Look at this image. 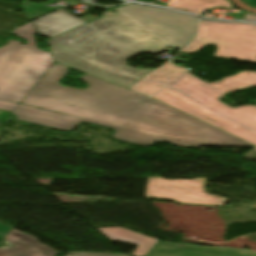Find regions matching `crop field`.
<instances>
[{"mask_svg": "<svg viewBox=\"0 0 256 256\" xmlns=\"http://www.w3.org/2000/svg\"><path fill=\"white\" fill-rule=\"evenodd\" d=\"M166 6L194 14L218 6L231 7L227 0H169Z\"/></svg>", "mask_w": 256, "mask_h": 256, "instance_id": "14", "label": "crop field"}, {"mask_svg": "<svg viewBox=\"0 0 256 256\" xmlns=\"http://www.w3.org/2000/svg\"><path fill=\"white\" fill-rule=\"evenodd\" d=\"M246 2L252 6V7H256V0H246Z\"/></svg>", "mask_w": 256, "mask_h": 256, "instance_id": "21", "label": "crop field"}, {"mask_svg": "<svg viewBox=\"0 0 256 256\" xmlns=\"http://www.w3.org/2000/svg\"><path fill=\"white\" fill-rule=\"evenodd\" d=\"M152 98L175 107L256 146V132L224 118L170 86L163 88L153 95Z\"/></svg>", "mask_w": 256, "mask_h": 256, "instance_id": "8", "label": "crop field"}, {"mask_svg": "<svg viewBox=\"0 0 256 256\" xmlns=\"http://www.w3.org/2000/svg\"><path fill=\"white\" fill-rule=\"evenodd\" d=\"M47 43L58 63L128 89L156 69L131 68L126 59L141 52L165 51L161 40L118 11Z\"/></svg>", "mask_w": 256, "mask_h": 256, "instance_id": "2", "label": "crop field"}, {"mask_svg": "<svg viewBox=\"0 0 256 256\" xmlns=\"http://www.w3.org/2000/svg\"><path fill=\"white\" fill-rule=\"evenodd\" d=\"M67 67L54 64L21 102L77 117L83 120L21 105L12 112L17 120L70 131L81 121L115 129L114 138L139 145L166 141L179 146L247 145L213 127L138 94L83 75L88 89L78 91L58 81Z\"/></svg>", "mask_w": 256, "mask_h": 256, "instance_id": "1", "label": "crop field"}, {"mask_svg": "<svg viewBox=\"0 0 256 256\" xmlns=\"http://www.w3.org/2000/svg\"><path fill=\"white\" fill-rule=\"evenodd\" d=\"M17 105V103L0 101V110L12 112Z\"/></svg>", "mask_w": 256, "mask_h": 256, "instance_id": "17", "label": "crop field"}, {"mask_svg": "<svg viewBox=\"0 0 256 256\" xmlns=\"http://www.w3.org/2000/svg\"><path fill=\"white\" fill-rule=\"evenodd\" d=\"M222 93L242 90L247 87L256 86V72L243 71L232 77L223 78L221 81L210 83Z\"/></svg>", "mask_w": 256, "mask_h": 256, "instance_id": "13", "label": "crop field"}, {"mask_svg": "<svg viewBox=\"0 0 256 256\" xmlns=\"http://www.w3.org/2000/svg\"><path fill=\"white\" fill-rule=\"evenodd\" d=\"M85 23L86 22L80 20L79 18L71 15L70 13L62 9L55 13L32 21V24L38 31L39 35L48 38L76 28Z\"/></svg>", "mask_w": 256, "mask_h": 256, "instance_id": "10", "label": "crop field"}, {"mask_svg": "<svg viewBox=\"0 0 256 256\" xmlns=\"http://www.w3.org/2000/svg\"><path fill=\"white\" fill-rule=\"evenodd\" d=\"M146 256H256L255 251L158 242Z\"/></svg>", "mask_w": 256, "mask_h": 256, "instance_id": "9", "label": "crop field"}, {"mask_svg": "<svg viewBox=\"0 0 256 256\" xmlns=\"http://www.w3.org/2000/svg\"><path fill=\"white\" fill-rule=\"evenodd\" d=\"M206 178L193 180H165L148 177L145 197L174 200L179 203L223 206L227 198L207 194Z\"/></svg>", "mask_w": 256, "mask_h": 256, "instance_id": "7", "label": "crop field"}, {"mask_svg": "<svg viewBox=\"0 0 256 256\" xmlns=\"http://www.w3.org/2000/svg\"><path fill=\"white\" fill-rule=\"evenodd\" d=\"M30 23L12 33L27 45L9 40L0 48V99L21 102L54 63L49 53L37 49ZM10 95L11 97H9Z\"/></svg>", "mask_w": 256, "mask_h": 256, "instance_id": "3", "label": "crop field"}, {"mask_svg": "<svg viewBox=\"0 0 256 256\" xmlns=\"http://www.w3.org/2000/svg\"><path fill=\"white\" fill-rule=\"evenodd\" d=\"M119 11V10H118ZM122 13V12H121ZM125 15V14H124ZM127 16V15H126ZM128 17V16H127ZM131 19V18H130ZM149 31V30H148ZM152 33V32H151ZM156 36V35H155ZM159 38V37H158ZM160 39V38H159ZM165 44V48L166 47H168L167 45H166V43H164Z\"/></svg>", "mask_w": 256, "mask_h": 256, "instance_id": "22", "label": "crop field"}, {"mask_svg": "<svg viewBox=\"0 0 256 256\" xmlns=\"http://www.w3.org/2000/svg\"><path fill=\"white\" fill-rule=\"evenodd\" d=\"M72 256H121V255L72 254Z\"/></svg>", "mask_w": 256, "mask_h": 256, "instance_id": "19", "label": "crop field"}, {"mask_svg": "<svg viewBox=\"0 0 256 256\" xmlns=\"http://www.w3.org/2000/svg\"><path fill=\"white\" fill-rule=\"evenodd\" d=\"M187 96L199 101L217 113L256 131V107L247 105L243 107L231 108L218 101L224 94L197 78L191 73H187L181 78L169 84Z\"/></svg>", "mask_w": 256, "mask_h": 256, "instance_id": "6", "label": "crop field"}, {"mask_svg": "<svg viewBox=\"0 0 256 256\" xmlns=\"http://www.w3.org/2000/svg\"><path fill=\"white\" fill-rule=\"evenodd\" d=\"M4 239L17 246L0 250V256H54L58 254L52 249L38 243L34 237L20 233L14 229ZM44 250L50 252L44 254L42 253Z\"/></svg>", "mask_w": 256, "mask_h": 256, "instance_id": "11", "label": "crop field"}, {"mask_svg": "<svg viewBox=\"0 0 256 256\" xmlns=\"http://www.w3.org/2000/svg\"><path fill=\"white\" fill-rule=\"evenodd\" d=\"M165 86H166L165 84L144 80L132 89L152 96L153 94H155L157 91H159Z\"/></svg>", "mask_w": 256, "mask_h": 256, "instance_id": "16", "label": "crop field"}, {"mask_svg": "<svg viewBox=\"0 0 256 256\" xmlns=\"http://www.w3.org/2000/svg\"><path fill=\"white\" fill-rule=\"evenodd\" d=\"M117 9L155 33L170 47L182 49L195 38L198 21L190 17L133 5Z\"/></svg>", "mask_w": 256, "mask_h": 256, "instance_id": "5", "label": "crop field"}, {"mask_svg": "<svg viewBox=\"0 0 256 256\" xmlns=\"http://www.w3.org/2000/svg\"><path fill=\"white\" fill-rule=\"evenodd\" d=\"M205 45L218 47L213 56L256 63V25L200 21L198 37L183 52L193 53Z\"/></svg>", "mask_w": 256, "mask_h": 256, "instance_id": "4", "label": "crop field"}, {"mask_svg": "<svg viewBox=\"0 0 256 256\" xmlns=\"http://www.w3.org/2000/svg\"><path fill=\"white\" fill-rule=\"evenodd\" d=\"M97 230L109 240H118L139 245L134 256H145L158 242L150 237L127 231L122 228L110 227Z\"/></svg>", "mask_w": 256, "mask_h": 256, "instance_id": "12", "label": "crop field"}, {"mask_svg": "<svg viewBox=\"0 0 256 256\" xmlns=\"http://www.w3.org/2000/svg\"><path fill=\"white\" fill-rule=\"evenodd\" d=\"M10 230L11 228L0 223V239L4 238Z\"/></svg>", "mask_w": 256, "mask_h": 256, "instance_id": "18", "label": "crop field"}, {"mask_svg": "<svg viewBox=\"0 0 256 256\" xmlns=\"http://www.w3.org/2000/svg\"><path fill=\"white\" fill-rule=\"evenodd\" d=\"M185 73H187V70L174 66L171 62H168L158 71L149 76L147 80L169 84Z\"/></svg>", "mask_w": 256, "mask_h": 256, "instance_id": "15", "label": "crop field"}, {"mask_svg": "<svg viewBox=\"0 0 256 256\" xmlns=\"http://www.w3.org/2000/svg\"><path fill=\"white\" fill-rule=\"evenodd\" d=\"M244 19H250V20H255L256 21V15H249V14H246Z\"/></svg>", "mask_w": 256, "mask_h": 256, "instance_id": "20", "label": "crop field"}, {"mask_svg": "<svg viewBox=\"0 0 256 256\" xmlns=\"http://www.w3.org/2000/svg\"><path fill=\"white\" fill-rule=\"evenodd\" d=\"M256 149V148H255Z\"/></svg>", "mask_w": 256, "mask_h": 256, "instance_id": "23", "label": "crop field"}]
</instances>
